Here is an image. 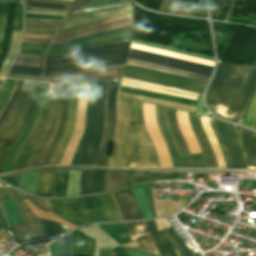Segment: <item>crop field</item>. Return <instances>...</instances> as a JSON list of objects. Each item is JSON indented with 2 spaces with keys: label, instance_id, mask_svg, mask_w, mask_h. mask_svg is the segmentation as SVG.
I'll return each instance as SVG.
<instances>
[{
  "label": "crop field",
  "instance_id": "crop-field-1",
  "mask_svg": "<svg viewBox=\"0 0 256 256\" xmlns=\"http://www.w3.org/2000/svg\"><path fill=\"white\" fill-rule=\"evenodd\" d=\"M142 102L168 106L194 113L196 108L194 106L165 102L118 91L115 138L107 166L124 167L126 165L128 111H142ZM129 124H144L142 112H129ZM127 158L158 159L145 125H130ZM127 163H158V160L127 159ZM127 167H159V164H127Z\"/></svg>",
  "mask_w": 256,
  "mask_h": 256
},
{
  "label": "crop field",
  "instance_id": "crop-field-2",
  "mask_svg": "<svg viewBox=\"0 0 256 256\" xmlns=\"http://www.w3.org/2000/svg\"><path fill=\"white\" fill-rule=\"evenodd\" d=\"M131 40L83 49L57 56L18 54L10 74L60 76L94 67L124 64Z\"/></svg>",
  "mask_w": 256,
  "mask_h": 256
},
{
  "label": "crop field",
  "instance_id": "crop-field-3",
  "mask_svg": "<svg viewBox=\"0 0 256 256\" xmlns=\"http://www.w3.org/2000/svg\"><path fill=\"white\" fill-rule=\"evenodd\" d=\"M255 91L256 65L218 61L206 101L217 116L240 124Z\"/></svg>",
  "mask_w": 256,
  "mask_h": 256
},
{
  "label": "crop field",
  "instance_id": "crop-field-4",
  "mask_svg": "<svg viewBox=\"0 0 256 256\" xmlns=\"http://www.w3.org/2000/svg\"><path fill=\"white\" fill-rule=\"evenodd\" d=\"M107 82L90 83L83 137L70 165L94 166L103 138Z\"/></svg>",
  "mask_w": 256,
  "mask_h": 256
},
{
  "label": "crop field",
  "instance_id": "crop-field-5",
  "mask_svg": "<svg viewBox=\"0 0 256 256\" xmlns=\"http://www.w3.org/2000/svg\"><path fill=\"white\" fill-rule=\"evenodd\" d=\"M46 201L52 213L77 227L90 222L122 220L112 193L86 198Z\"/></svg>",
  "mask_w": 256,
  "mask_h": 256
},
{
  "label": "crop field",
  "instance_id": "crop-field-6",
  "mask_svg": "<svg viewBox=\"0 0 256 256\" xmlns=\"http://www.w3.org/2000/svg\"><path fill=\"white\" fill-rule=\"evenodd\" d=\"M71 87L72 85H56L45 125L22 168L47 164L48 158L64 129Z\"/></svg>",
  "mask_w": 256,
  "mask_h": 256
},
{
  "label": "crop field",
  "instance_id": "crop-field-7",
  "mask_svg": "<svg viewBox=\"0 0 256 256\" xmlns=\"http://www.w3.org/2000/svg\"><path fill=\"white\" fill-rule=\"evenodd\" d=\"M23 199H29L34 206L43 211L51 212L49 205L43 199L26 196L10 187H0V201L13 200L23 219L20 221L21 218L12 201L0 202L9 223L20 221L12 223L17 240L41 238L43 237L41 227Z\"/></svg>",
  "mask_w": 256,
  "mask_h": 256
},
{
  "label": "crop field",
  "instance_id": "crop-field-8",
  "mask_svg": "<svg viewBox=\"0 0 256 256\" xmlns=\"http://www.w3.org/2000/svg\"><path fill=\"white\" fill-rule=\"evenodd\" d=\"M131 42L213 61V58H211V57L191 53L188 51H184V50H180V49H176V48H172V47H168V46L151 44V43L135 41V40H132ZM133 43H131V45H130V47H132V48L141 49V50H145V51H150V52H154V53H159V54H163V55H167V56H172V57H176V58H181V59L213 66V62H211V61L198 59V58H194V57H189V56L176 54V53H172V52H168V51H163V50H159V49H155V48H150V47H146V46H141V45H137V44H133ZM154 53L134 50V49L130 48L127 58L142 60V61L155 63V64H159V65H164V66H168V67H172V68H177V69L197 73V74L208 76V77L210 76V74L212 72L213 67H209V66H205V65H201V64H197V63H192V62H188V61H184V60H180V59H176V58H171V57H167V56H163V55H159V54H154Z\"/></svg>",
  "mask_w": 256,
  "mask_h": 256
},
{
  "label": "crop field",
  "instance_id": "crop-field-9",
  "mask_svg": "<svg viewBox=\"0 0 256 256\" xmlns=\"http://www.w3.org/2000/svg\"><path fill=\"white\" fill-rule=\"evenodd\" d=\"M133 26L117 28L59 44L21 43L19 52L29 55H57L83 48L131 39Z\"/></svg>",
  "mask_w": 256,
  "mask_h": 256
},
{
  "label": "crop field",
  "instance_id": "crop-field-10",
  "mask_svg": "<svg viewBox=\"0 0 256 256\" xmlns=\"http://www.w3.org/2000/svg\"><path fill=\"white\" fill-rule=\"evenodd\" d=\"M208 118L223 153L226 167L247 169L243 155L236 140L233 125L219 121L213 118L211 115H208Z\"/></svg>",
  "mask_w": 256,
  "mask_h": 256
},
{
  "label": "crop field",
  "instance_id": "crop-field-11",
  "mask_svg": "<svg viewBox=\"0 0 256 256\" xmlns=\"http://www.w3.org/2000/svg\"><path fill=\"white\" fill-rule=\"evenodd\" d=\"M122 76L201 93L205 82L126 65Z\"/></svg>",
  "mask_w": 256,
  "mask_h": 256
},
{
  "label": "crop field",
  "instance_id": "crop-field-12",
  "mask_svg": "<svg viewBox=\"0 0 256 256\" xmlns=\"http://www.w3.org/2000/svg\"><path fill=\"white\" fill-rule=\"evenodd\" d=\"M133 25V12L117 14L64 32H56L52 43H58L93 33Z\"/></svg>",
  "mask_w": 256,
  "mask_h": 256
},
{
  "label": "crop field",
  "instance_id": "crop-field-13",
  "mask_svg": "<svg viewBox=\"0 0 256 256\" xmlns=\"http://www.w3.org/2000/svg\"><path fill=\"white\" fill-rule=\"evenodd\" d=\"M155 115L158 128L169 148L173 166L205 168L201 154L180 156L166 120L165 108L156 105Z\"/></svg>",
  "mask_w": 256,
  "mask_h": 256
},
{
  "label": "crop field",
  "instance_id": "crop-field-14",
  "mask_svg": "<svg viewBox=\"0 0 256 256\" xmlns=\"http://www.w3.org/2000/svg\"><path fill=\"white\" fill-rule=\"evenodd\" d=\"M124 65L101 67L60 77H43L42 81L50 83H77L85 81L114 80L118 81Z\"/></svg>",
  "mask_w": 256,
  "mask_h": 256
},
{
  "label": "crop field",
  "instance_id": "crop-field-15",
  "mask_svg": "<svg viewBox=\"0 0 256 256\" xmlns=\"http://www.w3.org/2000/svg\"><path fill=\"white\" fill-rule=\"evenodd\" d=\"M118 82H108L107 107H106V128L104 139L95 166H105L107 152L110 142L113 141L116 122V94Z\"/></svg>",
  "mask_w": 256,
  "mask_h": 256
},
{
  "label": "crop field",
  "instance_id": "crop-field-16",
  "mask_svg": "<svg viewBox=\"0 0 256 256\" xmlns=\"http://www.w3.org/2000/svg\"><path fill=\"white\" fill-rule=\"evenodd\" d=\"M80 84H73L72 92L69 101L68 115L65 125V130L62 133L47 165H58L64 149L72 135L73 127L75 125V114L77 102L79 98Z\"/></svg>",
  "mask_w": 256,
  "mask_h": 256
},
{
  "label": "crop field",
  "instance_id": "crop-field-17",
  "mask_svg": "<svg viewBox=\"0 0 256 256\" xmlns=\"http://www.w3.org/2000/svg\"><path fill=\"white\" fill-rule=\"evenodd\" d=\"M40 83H36L33 82L32 86L13 122V124L10 126L9 130L7 131V133L5 134L4 138L1 140L0 142V157L3 153V151L5 150L6 146L8 145V143L10 142V140L13 138V136L16 134V132L18 131L19 127L21 126V124L23 123L27 112L30 108V105L33 101V98L35 96V93L38 89Z\"/></svg>",
  "mask_w": 256,
  "mask_h": 256
},
{
  "label": "crop field",
  "instance_id": "crop-field-18",
  "mask_svg": "<svg viewBox=\"0 0 256 256\" xmlns=\"http://www.w3.org/2000/svg\"><path fill=\"white\" fill-rule=\"evenodd\" d=\"M234 127L248 169H256V133L239 126Z\"/></svg>",
  "mask_w": 256,
  "mask_h": 256
},
{
  "label": "crop field",
  "instance_id": "crop-field-19",
  "mask_svg": "<svg viewBox=\"0 0 256 256\" xmlns=\"http://www.w3.org/2000/svg\"><path fill=\"white\" fill-rule=\"evenodd\" d=\"M124 224L136 248L158 254L144 222H130Z\"/></svg>",
  "mask_w": 256,
  "mask_h": 256
},
{
  "label": "crop field",
  "instance_id": "crop-field-20",
  "mask_svg": "<svg viewBox=\"0 0 256 256\" xmlns=\"http://www.w3.org/2000/svg\"><path fill=\"white\" fill-rule=\"evenodd\" d=\"M22 25H23V5L17 3L10 48H9L8 55L5 59V62L0 70V78L8 70V68L10 67V65L15 57L17 47H18L20 37H21Z\"/></svg>",
  "mask_w": 256,
  "mask_h": 256
},
{
  "label": "crop field",
  "instance_id": "crop-field-21",
  "mask_svg": "<svg viewBox=\"0 0 256 256\" xmlns=\"http://www.w3.org/2000/svg\"><path fill=\"white\" fill-rule=\"evenodd\" d=\"M113 194L123 220L143 218L130 189Z\"/></svg>",
  "mask_w": 256,
  "mask_h": 256
},
{
  "label": "crop field",
  "instance_id": "crop-field-22",
  "mask_svg": "<svg viewBox=\"0 0 256 256\" xmlns=\"http://www.w3.org/2000/svg\"><path fill=\"white\" fill-rule=\"evenodd\" d=\"M32 82L24 81L22 88L16 97L13 105L11 106L6 118L4 119L3 123L0 126V140L3 138L4 134L6 133L9 126L12 124ZM9 130V129H8Z\"/></svg>",
  "mask_w": 256,
  "mask_h": 256
},
{
  "label": "crop field",
  "instance_id": "crop-field-23",
  "mask_svg": "<svg viewBox=\"0 0 256 256\" xmlns=\"http://www.w3.org/2000/svg\"><path fill=\"white\" fill-rule=\"evenodd\" d=\"M74 245V256H93L94 240L75 231L71 234Z\"/></svg>",
  "mask_w": 256,
  "mask_h": 256
},
{
  "label": "crop field",
  "instance_id": "crop-field-24",
  "mask_svg": "<svg viewBox=\"0 0 256 256\" xmlns=\"http://www.w3.org/2000/svg\"><path fill=\"white\" fill-rule=\"evenodd\" d=\"M125 64L139 66V67H143V68H147V69H152V70L161 71V72H165V73L175 74V75L193 78V79H197V80H202V81H206V82L209 79L208 77H204V76H200V75H196V74H192V73H188V72H184V71H180V70H176V69H172V68H168V67H164V66L150 64V63H146V62H142V61L127 59Z\"/></svg>",
  "mask_w": 256,
  "mask_h": 256
},
{
  "label": "crop field",
  "instance_id": "crop-field-25",
  "mask_svg": "<svg viewBox=\"0 0 256 256\" xmlns=\"http://www.w3.org/2000/svg\"><path fill=\"white\" fill-rule=\"evenodd\" d=\"M56 171L39 172L34 194L52 197Z\"/></svg>",
  "mask_w": 256,
  "mask_h": 256
},
{
  "label": "crop field",
  "instance_id": "crop-field-26",
  "mask_svg": "<svg viewBox=\"0 0 256 256\" xmlns=\"http://www.w3.org/2000/svg\"><path fill=\"white\" fill-rule=\"evenodd\" d=\"M15 6H16V3H9L8 14H7V19H6L4 34H3V41H2V46L0 49V68L4 62L6 55H7V51H8V47H9V43H10V39H11Z\"/></svg>",
  "mask_w": 256,
  "mask_h": 256
},
{
  "label": "crop field",
  "instance_id": "crop-field-27",
  "mask_svg": "<svg viewBox=\"0 0 256 256\" xmlns=\"http://www.w3.org/2000/svg\"><path fill=\"white\" fill-rule=\"evenodd\" d=\"M130 6H132V4L130 3V1H127V2L110 4V5H106V6L85 7V8H81L78 13L67 15L64 22L81 19V18H86V17H91V16H93L92 13L98 12V11L122 8V7H130Z\"/></svg>",
  "mask_w": 256,
  "mask_h": 256
},
{
  "label": "crop field",
  "instance_id": "crop-field-28",
  "mask_svg": "<svg viewBox=\"0 0 256 256\" xmlns=\"http://www.w3.org/2000/svg\"><path fill=\"white\" fill-rule=\"evenodd\" d=\"M51 256H73V245L70 234L49 244Z\"/></svg>",
  "mask_w": 256,
  "mask_h": 256
},
{
  "label": "crop field",
  "instance_id": "crop-field-29",
  "mask_svg": "<svg viewBox=\"0 0 256 256\" xmlns=\"http://www.w3.org/2000/svg\"><path fill=\"white\" fill-rule=\"evenodd\" d=\"M98 226L119 245L131 241L123 223L105 224Z\"/></svg>",
  "mask_w": 256,
  "mask_h": 256
},
{
  "label": "crop field",
  "instance_id": "crop-field-30",
  "mask_svg": "<svg viewBox=\"0 0 256 256\" xmlns=\"http://www.w3.org/2000/svg\"><path fill=\"white\" fill-rule=\"evenodd\" d=\"M133 11V7L130 8H124V9H118V10H111V11H105V12H99V13H94V17L91 18H86V19H81V20H76V21H71V22H66L63 24V26L58 30V31H64L79 25H83L107 16H111L117 13H122V12H130Z\"/></svg>",
  "mask_w": 256,
  "mask_h": 256
},
{
  "label": "crop field",
  "instance_id": "crop-field-31",
  "mask_svg": "<svg viewBox=\"0 0 256 256\" xmlns=\"http://www.w3.org/2000/svg\"><path fill=\"white\" fill-rule=\"evenodd\" d=\"M127 186L126 172H105L104 191L119 189Z\"/></svg>",
  "mask_w": 256,
  "mask_h": 256
},
{
  "label": "crop field",
  "instance_id": "crop-field-32",
  "mask_svg": "<svg viewBox=\"0 0 256 256\" xmlns=\"http://www.w3.org/2000/svg\"><path fill=\"white\" fill-rule=\"evenodd\" d=\"M41 85V84H40ZM42 88H40L39 86V89L36 93V96L34 98V101L31 105V108L28 112V115L25 119V122L23 123V125L21 126L20 130L17 132V134L14 136V138L11 140V142L9 143L8 147L6 148L5 152L3 153L2 157H1V160H0V174L2 173V170H3V167H4V164H5V161H6V158L9 154V152L11 151V149L13 148V146L15 145V143L17 142L18 138L20 137V135L22 134L23 130L25 129L31 115H32V112L37 104V100H38V97H39V94H40V91H41Z\"/></svg>",
  "mask_w": 256,
  "mask_h": 256
},
{
  "label": "crop field",
  "instance_id": "crop-field-33",
  "mask_svg": "<svg viewBox=\"0 0 256 256\" xmlns=\"http://www.w3.org/2000/svg\"><path fill=\"white\" fill-rule=\"evenodd\" d=\"M119 90L129 92V93L138 94V95H143V96H147V97H151V98L162 99V100H167V101H172V102H178V103H183V104H188V105L196 106V104H197V102H195V101L160 95V94H156V93L126 88V87H121V86H119Z\"/></svg>",
  "mask_w": 256,
  "mask_h": 256
},
{
  "label": "crop field",
  "instance_id": "crop-field-34",
  "mask_svg": "<svg viewBox=\"0 0 256 256\" xmlns=\"http://www.w3.org/2000/svg\"><path fill=\"white\" fill-rule=\"evenodd\" d=\"M54 32L24 31L21 42L49 43Z\"/></svg>",
  "mask_w": 256,
  "mask_h": 256
},
{
  "label": "crop field",
  "instance_id": "crop-field-35",
  "mask_svg": "<svg viewBox=\"0 0 256 256\" xmlns=\"http://www.w3.org/2000/svg\"><path fill=\"white\" fill-rule=\"evenodd\" d=\"M25 11L65 13L63 11L29 8V7H25ZM35 12H26V13H35ZM55 13H45V14H55ZM25 18L63 21L64 15L25 14Z\"/></svg>",
  "mask_w": 256,
  "mask_h": 256
},
{
  "label": "crop field",
  "instance_id": "crop-field-36",
  "mask_svg": "<svg viewBox=\"0 0 256 256\" xmlns=\"http://www.w3.org/2000/svg\"><path fill=\"white\" fill-rule=\"evenodd\" d=\"M68 171H57L53 197L66 196Z\"/></svg>",
  "mask_w": 256,
  "mask_h": 256
},
{
  "label": "crop field",
  "instance_id": "crop-field-37",
  "mask_svg": "<svg viewBox=\"0 0 256 256\" xmlns=\"http://www.w3.org/2000/svg\"><path fill=\"white\" fill-rule=\"evenodd\" d=\"M38 172L21 174L18 188L26 192H34Z\"/></svg>",
  "mask_w": 256,
  "mask_h": 256
},
{
  "label": "crop field",
  "instance_id": "crop-field-38",
  "mask_svg": "<svg viewBox=\"0 0 256 256\" xmlns=\"http://www.w3.org/2000/svg\"><path fill=\"white\" fill-rule=\"evenodd\" d=\"M131 190L134 194V197L136 199V202L139 206V209H140L143 217L144 218L152 217L149 207H148V204H147V201H146V198H145V195H144V192H143V189L136 188V189H131Z\"/></svg>",
  "mask_w": 256,
  "mask_h": 256
},
{
  "label": "crop field",
  "instance_id": "crop-field-39",
  "mask_svg": "<svg viewBox=\"0 0 256 256\" xmlns=\"http://www.w3.org/2000/svg\"><path fill=\"white\" fill-rule=\"evenodd\" d=\"M146 224H147L149 232L157 246L159 254L161 256H169L165 246L163 245L162 241L160 240V238L157 234L158 230H157L155 221L154 220L146 221Z\"/></svg>",
  "mask_w": 256,
  "mask_h": 256
},
{
  "label": "crop field",
  "instance_id": "crop-field-40",
  "mask_svg": "<svg viewBox=\"0 0 256 256\" xmlns=\"http://www.w3.org/2000/svg\"><path fill=\"white\" fill-rule=\"evenodd\" d=\"M24 6L30 7H39V8H49V9H57L67 11L70 5L52 3V2H42V1H30V0H22Z\"/></svg>",
  "mask_w": 256,
  "mask_h": 256
},
{
  "label": "crop field",
  "instance_id": "crop-field-41",
  "mask_svg": "<svg viewBox=\"0 0 256 256\" xmlns=\"http://www.w3.org/2000/svg\"><path fill=\"white\" fill-rule=\"evenodd\" d=\"M241 124L256 129V93Z\"/></svg>",
  "mask_w": 256,
  "mask_h": 256
},
{
  "label": "crop field",
  "instance_id": "crop-field-42",
  "mask_svg": "<svg viewBox=\"0 0 256 256\" xmlns=\"http://www.w3.org/2000/svg\"><path fill=\"white\" fill-rule=\"evenodd\" d=\"M80 171H69L67 196L78 195Z\"/></svg>",
  "mask_w": 256,
  "mask_h": 256
},
{
  "label": "crop field",
  "instance_id": "crop-field-43",
  "mask_svg": "<svg viewBox=\"0 0 256 256\" xmlns=\"http://www.w3.org/2000/svg\"><path fill=\"white\" fill-rule=\"evenodd\" d=\"M38 220L42 227L44 237L64 233L61 225L55 224L52 222H48V221H44V220H40V219H38Z\"/></svg>",
  "mask_w": 256,
  "mask_h": 256
},
{
  "label": "crop field",
  "instance_id": "crop-field-44",
  "mask_svg": "<svg viewBox=\"0 0 256 256\" xmlns=\"http://www.w3.org/2000/svg\"><path fill=\"white\" fill-rule=\"evenodd\" d=\"M91 182H92V172L81 171L79 195L90 193Z\"/></svg>",
  "mask_w": 256,
  "mask_h": 256
},
{
  "label": "crop field",
  "instance_id": "crop-field-45",
  "mask_svg": "<svg viewBox=\"0 0 256 256\" xmlns=\"http://www.w3.org/2000/svg\"><path fill=\"white\" fill-rule=\"evenodd\" d=\"M173 239L176 241L182 252L185 256H193L189 250V248L185 245V243L180 239V237L175 233L172 227L167 228Z\"/></svg>",
  "mask_w": 256,
  "mask_h": 256
},
{
  "label": "crop field",
  "instance_id": "crop-field-46",
  "mask_svg": "<svg viewBox=\"0 0 256 256\" xmlns=\"http://www.w3.org/2000/svg\"><path fill=\"white\" fill-rule=\"evenodd\" d=\"M160 179H175V176L174 174H152V177L128 179V182L152 181V180H160Z\"/></svg>",
  "mask_w": 256,
  "mask_h": 256
},
{
  "label": "crop field",
  "instance_id": "crop-field-47",
  "mask_svg": "<svg viewBox=\"0 0 256 256\" xmlns=\"http://www.w3.org/2000/svg\"><path fill=\"white\" fill-rule=\"evenodd\" d=\"M14 80L12 79H5L1 88H0V107L6 97V95L8 94V92L11 89V86L13 84Z\"/></svg>",
  "mask_w": 256,
  "mask_h": 256
},
{
  "label": "crop field",
  "instance_id": "crop-field-48",
  "mask_svg": "<svg viewBox=\"0 0 256 256\" xmlns=\"http://www.w3.org/2000/svg\"><path fill=\"white\" fill-rule=\"evenodd\" d=\"M63 22L44 20H25V25L61 26Z\"/></svg>",
  "mask_w": 256,
  "mask_h": 256
},
{
  "label": "crop field",
  "instance_id": "crop-field-49",
  "mask_svg": "<svg viewBox=\"0 0 256 256\" xmlns=\"http://www.w3.org/2000/svg\"><path fill=\"white\" fill-rule=\"evenodd\" d=\"M8 4V3H5ZM0 3V42L2 39V33H3V28H4V23L6 19V13H7V7L8 5H5Z\"/></svg>",
  "mask_w": 256,
  "mask_h": 256
},
{
  "label": "crop field",
  "instance_id": "crop-field-50",
  "mask_svg": "<svg viewBox=\"0 0 256 256\" xmlns=\"http://www.w3.org/2000/svg\"><path fill=\"white\" fill-rule=\"evenodd\" d=\"M123 248L126 252V256H153L139 249H132L127 247H123Z\"/></svg>",
  "mask_w": 256,
  "mask_h": 256
},
{
  "label": "crop field",
  "instance_id": "crop-field-51",
  "mask_svg": "<svg viewBox=\"0 0 256 256\" xmlns=\"http://www.w3.org/2000/svg\"><path fill=\"white\" fill-rule=\"evenodd\" d=\"M22 82H23V81H21V80L19 81V84H18V86H17V89H16L14 95L12 96V98H11V100L9 101L8 105L6 106V108H5L4 112H3V114L1 115V117H0V124H1V122L3 121V119L5 118V116H6L7 112H8V110H9L10 106L12 105V103H13L15 97L17 96V94H18V92H19V90H20V88H21Z\"/></svg>",
  "mask_w": 256,
  "mask_h": 256
},
{
  "label": "crop field",
  "instance_id": "crop-field-52",
  "mask_svg": "<svg viewBox=\"0 0 256 256\" xmlns=\"http://www.w3.org/2000/svg\"><path fill=\"white\" fill-rule=\"evenodd\" d=\"M143 189H144V192H145V195H146V198H147L152 216L156 217L155 210H154V205H153V200H152V195H151V190H150V188H143Z\"/></svg>",
  "mask_w": 256,
  "mask_h": 256
},
{
  "label": "crop field",
  "instance_id": "crop-field-53",
  "mask_svg": "<svg viewBox=\"0 0 256 256\" xmlns=\"http://www.w3.org/2000/svg\"><path fill=\"white\" fill-rule=\"evenodd\" d=\"M60 27L25 26L24 30L57 31Z\"/></svg>",
  "mask_w": 256,
  "mask_h": 256
},
{
  "label": "crop field",
  "instance_id": "crop-field-54",
  "mask_svg": "<svg viewBox=\"0 0 256 256\" xmlns=\"http://www.w3.org/2000/svg\"><path fill=\"white\" fill-rule=\"evenodd\" d=\"M86 0H74L72 6L70 7L69 11L67 14L69 13H75V12H78V10L80 9V7L83 5V3L85 2Z\"/></svg>",
  "mask_w": 256,
  "mask_h": 256
},
{
  "label": "crop field",
  "instance_id": "crop-field-55",
  "mask_svg": "<svg viewBox=\"0 0 256 256\" xmlns=\"http://www.w3.org/2000/svg\"><path fill=\"white\" fill-rule=\"evenodd\" d=\"M18 81H19V80H15V82H14V84H13V86H12L11 91H10L9 94L7 95L5 101H4V103H3V105H2V107H1V109H0V114H1L2 111L4 110V108H5L6 104H7V102L9 101V99L11 98V96H12V94H13V92H14L16 86H17Z\"/></svg>",
  "mask_w": 256,
  "mask_h": 256
},
{
  "label": "crop field",
  "instance_id": "crop-field-56",
  "mask_svg": "<svg viewBox=\"0 0 256 256\" xmlns=\"http://www.w3.org/2000/svg\"><path fill=\"white\" fill-rule=\"evenodd\" d=\"M5 78H20V79L34 80V81H40L41 79L36 77L16 76V75H10V74H7Z\"/></svg>",
  "mask_w": 256,
  "mask_h": 256
},
{
  "label": "crop field",
  "instance_id": "crop-field-57",
  "mask_svg": "<svg viewBox=\"0 0 256 256\" xmlns=\"http://www.w3.org/2000/svg\"><path fill=\"white\" fill-rule=\"evenodd\" d=\"M163 231L165 232V234L168 236V238L170 239L171 243L173 244V246L175 247L176 251L178 252L179 256H184L183 253L181 252V250L179 249V247L177 246V244L175 243V241L172 239V237L169 235V233L166 231V229H163Z\"/></svg>",
  "mask_w": 256,
  "mask_h": 256
},
{
  "label": "crop field",
  "instance_id": "crop-field-58",
  "mask_svg": "<svg viewBox=\"0 0 256 256\" xmlns=\"http://www.w3.org/2000/svg\"><path fill=\"white\" fill-rule=\"evenodd\" d=\"M98 175H99V172H95L91 193L97 192Z\"/></svg>",
  "mask_w": 256,
  "mask_h": 256
},
{
  "label": "crop field",
  "instance_id": "crop-field-59",
  "mask_svg": "<svg viewBox=\"0 0 256 256\" xmlns=\"http://www.w3.org/2000/svg\"><path fill=\"white\" fill-rule=\"evenodd\" d=\"M162 236L164 237L166 243L168 244V246L170 247V249L172 250V252L174 253L175 256H178L177 252L175 251L174 247L172 246V244L170 243L169 239L166 237V235L163 233V231H161Z\"/></svg>",
  "mask_w": 256,
  "mask_h": 256
},
{
  "label": "crop field",
  "instance_id": "crop-field-60",
  "mask_svg": "<svg viewBox=\"0 0 256 256\" xmlns=\"http://www.w3.org/2000/svg\"><path fill=\"white\" fill-rule=\"evenodd\" d=\"M45 1H53V2L66 3V4L71 3V1H68V0H45Z\"/></svg>",
  "mask_w": 256,
  "mask_h": 256
},
{
  "label": "crop field",
  "instance_id": "crop-field-61",
  "mask_svg": "<svg viewBox=\"0 0 256 256\" xmlns=\"http://www.w3.org/2000/svg\"><path fill=\"white\" fill-rule=\"evenodd\" d=\"M158 233H159V235H160V237H161V239H162V241H163L164 245L166 246V248H167V250H168V252H169V255H170V256H173V254H172L171 250L169 249V247L167 246V244H166V243H165V241L163 240V238H162V236H161L160 232H158Z\"/></svg>",
  "mask_w": 256,
  "mask_h": 256
},
{
  "label": "crop field",
  "instance_id": "crop-field-62",
  "mask_svg": "<svg viewBox=\"0 0 256 256\" xmlns=\"http://www.w3.org/2000/svg\"><path fill=\"white\" fill-rule=\"evenodd\" d=\"M121 1H127V0H107L105 4L115 3V2H121Z\"/></svg>",
  "mask_w": 256,
  "mask_h": 256
},
{
  "label": "crop field",
  "instance_id": "crop-field-63",
  "mask_svg": "<svg viewBox=\"0 0 256 256\" xmlns=\"http://www.w3.org/2000/svg\"><path fill=\"white\" fill-rule=\"evenodd\" d=\"M1 2H19L20 3V1L19 0H0Z\"/></svg>",
  "mask_w": 256,
  "mask_h": 256
},
{
  "label": "crop field",
  "instance_id": "crop-field-64",
  "mask_svg": "<svg viewBox=\"0 0 256 256\" xmlns=\"http://www.w3.org/2000/svg\"><path fill=\"white\" fill-rule=\"evenodd\" d=\"M0 212H1V214L3 215V217H4V214H3L2 210H1V207H0ZM4 219H5V217H4ZM5 220H6V219H5ZM0 229H3V226H2L1 220H0Z\"/></svg>",
  "mask_w": 256,
  "mask_h": 256
},
{
  "label": "crop field",
  "instance_id": "crop-field-65",
  "mask_svg": "<svg viewBox=\"0 0 256 256\" xmlns=\"http://www.w3.org/2000/svg\"><path fill=\"white\" fill-rule=\"evenodd\" d=\"M91 2V0H87L86 3L83 5L84 6H88V4Z\"/></svg>",
  "mask_w": 256,
  "mask_h": 256
},
{
  "label": "crop field",
  "instance_id": "crop-field-66",
  "mask_svg": "<svg viewBox=\"0 0 256 256\" xmlns=\"http://www.w3.org/2000/svg\"><path fill=\"white\" fill-rule=\"evenodd\" d=\"M121 79H122V77H121ZM121 79H120V83H121ZM120 85V84H119ZM198 98H199V94H198ZM198 100V99H197Z\"/></svg>",
  "mask_w": 256,
  "mask_h": 256
},
{
  "label": "crop field",
  "instance_id": "crop-field-67",
  "mask_svg": "<svg viewBox=\"0 0 256 256\" xmlns=\"http://www.w3.org/2000/svg\"><path fill=\"white\" fill-rule=\"evenodd\" d=\"M2 80H0V83H1Z\"/></svg>",
  "mask_w": 256,
  "mask_h": 256
},
{
  "label": "crop field",
  "instance_id": "crop-field-68",
  "mask_svg": "<svg viewBox=\"0 0 256 256\" xmlns=\"http://www.w3.org/2000/svg\"><path fill=\"white\" fill-rule=\"evenodd\" d=\"M206 117H207V115H206Z\"/></svg>",
  "mask_w": 256,
  "mask_h": 256
}]
</instances>
